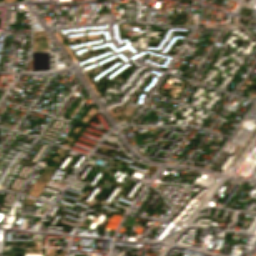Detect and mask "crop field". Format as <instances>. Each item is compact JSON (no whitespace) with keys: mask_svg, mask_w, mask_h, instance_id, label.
Listing matches in <instances>:
<instances>
[{"mask_svg":"<svg viewBox=\"0 0 256 256\" xmlns=\"http://www.w3.org/2000/svg\"><path fill=\"white\" fill-rule=\"evenodd\" d=\"M11 1H16V0H5V2H11Z\"/></svg>","mask_w":256,"mask_h":256,"instance_id":"crop-field-1","label":"crop field"}]
</instances>
